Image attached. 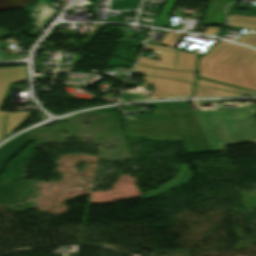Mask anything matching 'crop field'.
Instances as JSON below:
<instances>
[{
  "label": "crop field",
  "instance_id": "1",
  "mask_svg": "<svg viewBox=\"0 0 256 256\" xmlns=\"http://www.w3.org/2000/svg\"><path fill=\"white\" fill-rule=\"evenodd\" d=\"M198 76L256 91V51L222 41L199 60Z\"/></svg>",
  "mask_w": 256,
  "mask_h": 256
},
{
  "label": "crop field",
  "instance_id": "2",
  "mask_svg": "<svg viewBox=\"0 0 256 256\" xmlns=\"http://www.w3.org/2000/svg\"><path fill=\"white\" fill-rule=\"evenodd\" d=\"M195 114L213 151H226V144L256 140V126L246 107L221 105V112Z\"/></svg>",
  "mask_w": 256,
  "mask_h": 256
},
{
  "label": "crop field",
  "instance_id": "3",
  "mask_svg": "<svg viewBox=\"0 0 256 256\" xmlns=\"http://www.w3.org/2000/svg\"><path fill=\"white\" fill-rule=\"evenodd\" d=\"M126 137L182 142L168 109L154 108L144 121H122Z\"/></svg>",
  "mask_w": 256,
  "mask_h": 256
},
{
  "label": "crop field",
  "instance_id": "4",
  "mask_svg": "<svg viewBox=\"0 0 256 256\" xmlns=\"http://www.w3.org/2000/svg\"><path fill=\"white\" fill-rule=\"evenodd\" d=\"M27 80L26 66L0 68V106L4 100L10 83ZM7 114L5 134L8 135L30 114L28 112L17 111L15 113L0 111V140L3 139V123Z\"/></svg>",
  "mask_w": 256,
  "mask_h": 256
},
{
  "label": "crop field",
  "instance_id": "5",
  "mask_svg": "<svg viewBox=\"0 0 256 256\" xmlns=\"http://www.w3.org/2000/svg\"><path fill=\"white\" fill-rule=\"evenodd\" d=\"M187 145V153L211 152L212 149L193 111L171 109Z\"/></svg>",
  "mask_w": 256,
  "mask_h": 256
},
{
  "label": "crop field",
  "instance_id": "6",
  "mask_svg": "<svg viewBox=\"0 0 256 256\" xmlns=\"http://www.w3.org/2000/svg\"><path fill=\"white\" fill-rule=\"evenodd\" d=\"M146 81L141 88L147 89L149 83L153 85L154 90L151 95L147 96V99H155L161 97L167 98H179V97H192L193 96V83L170 80L157 77L144 76ZM163 92H166L165 94ZM177 92V94H175Z\"/></svg>",
  "mask_w": 256,
  "mask_h": 256
},
{
  "label": "crop field",
  "instance_id": "7",
  "mask_svg": "<svg viewBox=\"0 0 256 256\" xmlns=\"http://www.w3.org/2000/svg\"><path fill=\"white\" fill-rule=\"evenodd\" d=\"M225 1L226 0H210L204 19L224 18ZM174 2L175 0H166L153 26L163 27L169 18L168 15Z\"/></svg>",
  "mask_w": 256,
  "mask_h": 256
},
{
  "label": "crop field",
  "instance_id": "8",
  "mask_svg": "<svg viewBox=\"0 0 256 256\" xmlns=\"http://www.w3.org/2000/svg\"><path fill=\"white\" fill-rule=\"evenodd\" d=\"M145 49L159 52L158 57H161V59L160 61H156L145 57H141L140 60L138 61L139 64L151 67H164L173 69L176 55L175 49L151 44H147Z\"/></svg>",
  "mask_w": 256,
  "mask_h": 256
},
{
  "label": "crop field",
  "instance_id": "9",
  "mask_svg": "<svg viewBox=\"0 0 256 256\" xmlns=\"http://www.w3.org/2000/svg\"><path fill=\"white\" fill-rule=\"evenodd\" d=\"M154 69L136 65L133 72L151 75ZM154 76L194 82V73L157 69Z\"/></svg>",
  "mask_w": 256,
  "mask_h": 256
},
{
  "label": "crop field",
  "instance_id": "10",
  "mask_svg": "<svg viewBox=\"0 0 256 256\" xmlns=\"http://www.w3.org/2000/svg\"><path fill=\"white\" fill-rule=\"evenodd\" d=\"M29 141H34V139L27 136L19 135L16 137L15 140L10 141L5 146L0 148V171L4 163L21 148H23ZM9 153L12 155H8Z\"/></svg>",
  "mask_w": 256,
  "mask_h": 256
},
{
  "label": "crop field",
  "instance_id": "11",
  "mask_svg": "<svg viewBox=\"0 0 256 256\" xmlns=\"http://www.w3.org/2000/svg\"><path fill=\"white\" fill-rule=\"evenodd\" d=\"M38 12L39 16L35 23V26L45 29L47 25L53 20V18L58 14L54 9H52L48 4L41 2L38 5L31 8Z\"/></svg>",
  "mask_w": 256,
  "mask_h": 256
},
{
  "label": "crop field",
  "instance_id": "12",
  "mask_svg": "<svg viewBox=\"0 0 256 256\" xmlns=\"http://www.w3.org/2000/svg\"><path fill=\"white\" fill-rule=\"evenodd\" d=\"M176 69L195 71V54L178 51Z\"/></svg>",
  "mask_w": 256,
  "mask_h": 256
},
{
  "label": "crop field",
  "instance_id": "13",
  "mask_svg": "<svg viewBox=\"0 0 256 256\" xmlns=\"http://www.w3.org/2000/svg\"><path fill=\"white\" fill-rule=\"evenodd\" d=\"M230 96H244L233 92L221 91L197 86L196 97H230Z\"/></svg>",
  "mask_w": 256,
  "mask_h": 256
},
{
  "label": "crop field",
  "instance_id": "14",
  "mask_svg": "<svg viewBox=\"0 0 256 256\" xmlns=\"http://www.w3.org/2000/svg\"><path fill=\"white\" fill-rule=\"evenodd\" d=\"M197 85L210 87V88H216V89H222V90H227V91H233V92H238V93H244V94H249V95H256V93H254V92L238 89L235 87L211 82V81L200 79V78H198Z\"/></svg>",
  "mask_w": 256,
  "mask_h": 256
},
{
  "label": "crop field",
  "instance_id": "15",
  "mask_svg": "<svg viewBox=\"0 0 256 256\" xmlns=\"http://www.w3.org/2000/svg\"><path fill=\"white\" fill-rule=\"evenodd\" d=\"M141 0H125V1H117L112 0L110 9L118 10V9H135V7H139Z\"/></svg>",
  "mask_w": 256,
  "mask_h": 256
},
{
  "label": "crop field",
  "instance_id": "16",
  "mask_svg": "<svg viewBox=\"0 0 256 256\" xmlns=\"http://www.w3.org/2000/svg\"><path fill=\"white\" fill-rule=\"evenodd\" d=\"M229 22L228 23H246V24H256V17H241L227 15Z\"/></svg>",
  "mask_w": 256,
  "mask_h": 256
},
{
  "label": "crop field",
  "instance_id": "17",
  "mask_svg": "<svg viewBox=\"0 0 256 256\" xmlns=\"http://www.w3.org/2000/svg\"><path fill=\"white\" fill-rule=\"evenodd\" d=\"M182 35L168 32L164 41L161 43L163 46L175 47Z\"/></svg>",
  "mask_w": 256,
  "mask_h": 256
},
{
  "label": "crop field",
  "instance_id": "18",
  "mask_svg": "<svg viewBox=\"0 0 256 256\" xmlns=\"http://www.w3.org/2000/svg\"><path fill=\"white\" fill-rule=\"evenodd\" d=\"M237 42L256 47V35H243Z\"/></svg>",
  "mask_w": 256,
  "mask_h": 256
},
{
  "label": "crop field",
  "instance_id": "19",
  "mask_svg": "<svg viewBox=\"0 0 256 256\" xmlns=\"http://www.w3.org/2000/svg\"><path fill=\"white\" fill-rule=\"evenodd\" d=\"M147 105L153 106H166V107H173V108H183L187 109V102H173V103H152Z\"/></svg>",
  "mask_w": 256,
  "mask_h": 256
},
{
  "label": "crop field",
  "instance_id": "20",
  "mask_svg": "<svg viewBox=\"0 0 256 256\" xmlns=\"http://www.w3.org/2000/svg\"><path fill=\"white\" fill-rule=\"evenodd\" d=\"M224 20H215V21H202V26H214V25H223Z\"/></svg>",
  "mask_w": 256,
  "mask_h": 256
},
{
  "label": "crop field",
  "instance_id": "21",
  "mask_svg": "<svg viewBox=\"0 0 256 256\" xmlns=\"http://www.w3.org/2000/svg\"><path fill=\"white\" fill-rule=\"evenodd\" d=\"M228 26L248 28L256 31V25H245V24H227Z\"/></svg>",
  "mask_w": 256,
  "mask_h": 256
},
{
  "label": "crop field",
  "instance_id": "22",
  "mask_svg": "<svg viewBox=\"0 0 256 256\" xmlns=\"http://www.w3.org/2000/svg\"><path fill=\"white\" fill-rule=\"evenodd\" d=\"M219 28H214V27H207L206 31L204 32V34L207 35H212L213 33H215Z\"/></svg>",
  "mask_w": 256,
  "mask_h": 256
},
{
  "label": "crop field",
  "instance_id": "23",
  "mask_svg": "<svg viewBox=\"0 0 256 256\" xmlns=\"http://www.w3.org/2000/svg\"><path fill=\"white\" fill-rule=\"evenodd\" d=\"M235 6H236V3L231 5V6H229L228 10H227V14H234L235 15V13H236Z\"/></svg>",
  "mask_w": 256,
  "mask_h": 256
},
{
  "label": "crop field",
  "instance_id": "24",
  "mask_svg": "<svg viewBox=\"0 0 256 256\" xmlns=\"http://www.w3.org/2000/svg\"><path fill=\"white\" fill-rule=\"evenodd\" d=\"M221 101L197 102V103H220Z\"/></svg>",
  "mask_w": 256,
  "mask_h": 256
},
{
  "label": "crop field",
  "instance_id": "25",
  "mask_svg": "<svg viewBox=\"0 0 256 256\" xmlns=\"http://www.w3.org/2000/svg\"><path fill=\"white\" fill-rule=\"evenodd\" d=\"M249 108H250L252 114L254 115V114H255L256 107H249Z\"/></svg>",
  "mask_w": 256,
  "mask_h": 256
},
{
  "label": "crop field",
  "instance_id": "26",
  "mask_svg": "<svg viewBox=\"0 0 256 256\" xmlns=\"http://www.w3.org/2000/svg\"><path fill=\"white\" fill-rule=\"evenodd\" d=\"M6 34L8 33L0 29V36L6 35Z\"/></svg>",
  "mask_w": 256,
  "mask_h": 256
},
{
  "label": "crop field",
  "instance_id": "27",
  "mask_svg": "<svg viewBox=\"0 0 256 256\" xmlns=\"http://www.w3.org/2000/svg\"><path fill=\"white\" fill-rule=\"evenodd\" d=\"M0 61H4L3 55H2V53H1V51H0Z\"/></svg>",
  "mask_w": 256,
  "mask_h": 256
},
{
  "label": "crop field",
  "instance_id": "28",
  "mask_svg": "<svg viewBox=\"0 0 256 256\" xmlns=\"http://www.w3.org/2000/svg\"><path fill=\"white\" fill-rule=\"evenodd\" d=\"M234 1H236V0H228L227 3H231V2H234Z\"/></svg>",
  "mask_w": 256,
  "mask_h": 256
},
{
  "label": "crop field",
  "instance_id": "29",
  "mask_svg": "<svg viewBox=\"0 0 256 256\" xmlns=\"http://www.w3.org/2000/svg\"><path fill=\"white\" fill-rule=\"evenodd\" d=\"M256 144V142H254Z\"/></svg>",
  "mask_w": 256,
  "mask_h": 256
}]
</instances>
